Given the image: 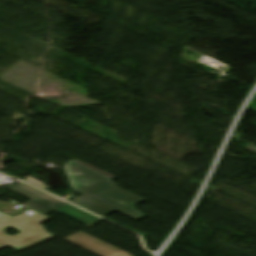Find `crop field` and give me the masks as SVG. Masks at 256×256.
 <instances>
[{
    "label": "crop field",
    "instance_id": "crop-field-1",
    "mask_svg": "<svg viewBox=\"0 0 256 256\" xmlns=\"http://www.w3.org/2000/svg\"><path fill=\"white\" fill-rule=\"evenodd\" d=\"M64 169L73 191L83 195L75 204L102 217L116 211L138 221L146 217L136 211V204L146 200L115 187L114 177L78 160L67 162Z\"/></svg>",
    "mask_w": 256,
    "mask_h": 256
},
{
    "label": "crop field",
    "instance_id": "crop-field-5",
    "mask_svg": "<svg viewBox=\"0 0 256 256\" xmlns=\"http://www.w3.org/2000/svg\"><path fill=\"white\" fill-rule=\"evenodd\" d=\"M57 211L65 214V215H67V216L85 224V225H87L89 223H91L93 225V224L103 220V219L98 218L94 215H91V214H89L85 211H82L78 208H75L71 205H68L64 208H61V209L57 210Z\"/></svg>",
    "mask_w": 256,
    "mask_h": 256
},
{
    "label": "crop field",
    "instance_id": "crop-field-2",
    "mask_svg": "<svg viewBox=\"0 0 256 256\" xmlns=\"http://www.w3.org/2000/svg\"><path fill=\"white\" fill-rule=\"evenodd\" d=\"M50 219L52 218L32 209L15 217L0 211V249L9 246L22 252L56 237L47 233L45 227L39 225ZM7 228L18 229L21 233L8 236L4 233Z\"/></svg>",
    "mask_w": 256,
    "mask_h": 256
},
{
    "label": "crop field",
    "instance_id": "crop-field-3",
    "mask_svg": "<svg viewBox=\"0 0 256 256\" xmlns=\"http://www.w3.org/2000/svg\"><path fill=\"white\" fill-rule=\"evenodd\" d=\"M6 188L32 200L28 203H25L23 205H26L36 211L42 212L44 214H47L49 212H52L54 210H57L61 207H64L68 205V203L59 200L53 196H50L46 193H43L39 190H36L30 186H27L23 183L14 184L6 186Z\"/></svg>",
    "mask_w": 256,
    "mask_h": 256
},
{
    "label": "crop field",
    "instance_id": "crop-field-4",
    "mask_svg": "<svg viewBox=\"0 0 256 256\" xmlns=\"http://www.w3.org/2000/svg\"><path fill=\"white\" fill-rule=\"evenodd\" d=\"M65 240L99 256H132L82 232L71 235Z\"/></svg>",
    "mask_w": 256,
    "mask_h": 256
},
{
    "label": "crop field",
    "instance_id": "crop-field-6",
    "mask_svg": "<svg viewBox=\"0 0 256 256\" xmlns=\"http://www.w3.org/2000/svg\"><path fill=\"white\" fill-rule=\"evenodd\" d=\"M30 208L24 206L18 210L13 209V205L0 202V210L6 212L12 216H15L21 212H24Z\"/></svg>",
    "mask_w": 256,
    "mask_h": 256
}]
</instances>
